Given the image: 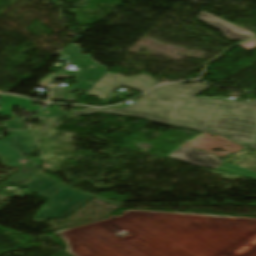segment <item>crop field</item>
<instances>
[{"label":"crop field","instance_id":"obj_3","mask_svg":"<svg viewBox=\"0 0 256 256\" xmlns=\"http://www.w3.org/2000/svg\"><path fill=\"white\" fill-rule=\"evenodd\" d=\"M155 84L156 81L148 75L126 78L107 73L89 92H87V95H96L101 99H105L121 86L144 92Z\"/></svg>","mask_w":256,"mask_h":256},{"label":"crop field","instance_id":"obj_12","mask_svg":"<svg viewBox=\"0 0 256 256\" xmlns=\"http://www.w3.org/2000/svg\"><path fill=\"white\" fill-rule=\"evenodd\" d=\"M65 115H69V114L66 113V112H64V111H62V110H58V111H56V112H54V113H52V114H49V115H46V116H42V117H37V118L45 120V119H48V118H50V117H53V119H54L53 122H48V121H47V123H44V124H43V125H45V126H51V125H54V124L57 123L59 117L65 116ZM45 121H46V120H45Z\"/></svg>","mask_w":256,"mask_h":256},{"label":"crop field","instance_id":"obj_4","mask_svg":"<svg viewBox=\"0 0 256 256\" xmlns=\"http://www.w3.org/2000/svg\"><path fill=\"white\" fill-rule=\"evenodd\" d=\"M67 54L74 58L77 62L83 65L86 70L82 74L80 78L73 79L76 81L75 86L73 89L67 91V96L64 101L73 102L74 99L69 92L75 90H82V91H89L107 72L105 71L107 68H104L94 61L91 60V55H82L80 54V50L77 45L72 44L67 49H65ZM95 66L94 68L90 66ZM86 79H91V82L87 81ZM90 84H87V83Z\"/></svg>","mask_w":256,"mask_h":256},{"label":"crop field","instance_id":"obj_11","mask_svg":"<svg viewBox=\"0 0 256 256\" xmlns=\"http://www.w3.org/2000/svg\"><path fill=\"white\" fill-rule=\"evenodd\" d=\"M34 173L36 172L31 167V165L24 166L19 171H17L10 179H8L6 183L18 186L30 176H32Z\"/></svg>","mask_w":256,"mask_h":256},{"label":"crop field","instance_id":"obj_15","mask_svg":"<svg viewBox=\"0 0 256 256\" xmlns=\"http://www.w3.org/2000/svg\"><path fill=\"white\" fill-rule=\"evenodd\" d=\"M41 175H42V176H44V177H46V178H48V179H50V180H52V181H54V182H56V183H58V184H60V185H62V186H64V187H67V188H69V189H72V190L78 191V192H80V193H83V194H86V195H89V196H92V197H95V198L101 199V200H103V201H106V202H109V203H112V204H115V205L120 204V203H115V202H113V201H111V200H107V199H104V198H101V197H97V196H94V195H90V194H87V193L81 192V191H79V190H77V189H74V188L69 187V186H67V185H65V184H62V183H60V182H58V181H56V180H54V179L50 178L49 176H46L44 173H43V174H41Z\"/></svg>","mask_w":256,"mask_h":256},{"label":"crop field","instance_id":"obj_13","mask_svg":"<svg viewBox=\"0 0 256 256\" xmlns=\"http://www.w3.org/2000/svg\"><path fill=\"white\" fill-rule=\"evenodd\" d=\"M26 118L14 119L3 123L4 128H23V120Z\"/></svg>","mask_w":256,"mask_h":256},{"label":"crop field","instance_id":"obj_21","mask_svg":"<svg viewBox=\"0 0 256 256\" xmlns=\"http://www.w3.org/2000/svg\"><path fill=\"white\" fill-rule=\"evenodd\" d=\"M256 44V40H252Z\"/></svg>","mask_w":256,"mask_h":256},{"label":"crop field","instance_id":"obj_1","mask_svg":"<svg viewBox=\"0 0 256 256\" xmlns=\"http://www.w3.org/2000/svg\"><path fill=\"white\" fill-rule=\"evenodd\" d=\"M202 83L158 87L135 103L121 109L91 108L74 112H103L142 117L152 122L215 133L251 147L256 137V102H228L193 97L209 88ZM201 103V105H198Z\"/></svg>","mask_w":256,"mask_h":256},{"label":"crop field","instance_id":"obj_8","mask_svg":"<svg viewBox=\"0 0 256 256\" xmlns=\"http://www.w3.org/2000/svg\"><path fill=\"white\" fill-rule=\"evenodd\" d=\"M19 147L22 151L27 154H31L34 151V147L36 146V140L32 133L26 130H9Z\"/></svg>","mask_w":256,"mask_h":256},{"label":"crop field","instance_id":"obj_7","mask_svg":"<svg viewBox=\"0 0 256 256\" xmlns=\"http://www.w3.org/2000/svg\"><path fill=\"white\" fill-rule=\"evenodd\" d=\"M0 159L3 164L20 167L24 165L18 160L26 161L20 150L15 145L12 137L0 141Z\"/></svg>","mask_w":256,"mask_h":256},{"label":"crop field","instance_id":"obj_14","mask_svg":"<svg viewBox=\"0 0 256 256\" xmlns=\"http://www.w3.org/2000/svg\"><path fill=\"white\" fill-rule=\"evenodd\" d=\"M65 94V90L52 86L50 99L62 100Z\"/></svg>","mask_w":256,"mask_h":256},{"label":"crop field","instance_id":"obj_19","mask_svg":"<svg viewBox=\"0 0 256 256\" xmlns=\"http://www.w3.org/2000/svg\"><path fill=\"white\" fill-rule=\"evenodd\" d=\"M29 161H30V163L35 167V166L40 165V163H41V158H38V159L32 158V159L29 160Z\"/></svg>","mask_w":256,"mask_h":256},{"label":"crop field","instance_id":"obj_18","mask_svg":"<svg viewBox=\"0 0 256 256\" xmlns=\"http://www.w3.org/2000/svg\"><path fill=\"white\" fill-rule=\"evenodd\" d=\"M240 46L244 49H247V50H250V49L256 47V45L252 41L246 42V43H244Z\"/></svg>","mask_w":256,"mask_h":256},{"label":"crop field","instance_id":"obj_17","mask_svg":"<svg viewBox=\"0 0 256 256\" xmlns=\"http://www.w3.org/2000/svg\"><path fill=\"white\" fill-rule=\"evenodd\" d=\"M52 77H53V74L48 75L46 79H42L38 85L49 86L51 84L49 82L52 81Z\"/></svg>","mask_w":256,"mask_h":256},{"label":"crop field","instance_id":"obj_10","mask_svg":"<svg viewBox=\"0 0 256 256\" xmlns=\"http://www.w3.org/2000/svg\"><path fill=\"white\" fill-rule=\"evenodd\" d=\"M252 148L256 149V139H255V142H254ZM215 169L225 171V172H229V173H233V174H237V175H241V176H245V177H249V178H252V179H256V173L250 172L246 169H242V168L237 167V166L225 164V163H221Z\"/></svg>","mask_w":256,"mask_h":256},{"label":"crop field","instance_id":"obj_16","mask_svg":"<svg viewBox=\"0 0 256 256\" xmlns=\"http://www.w3.org/2000/svg\"><path fill=\"white\" fill-rule=\"evenodd\" d=\"M81 72H67V71H63V72H56V77L55 79H59V78H68V77H72V76H78L80 75Z\"/></svg>","mask_w":256,"mask_h":256},{"label":"crop field","instance_id":"obj_2","mask_svg":"<svg viewBox=\"0 0 256 256\" xmlns=\"http://www.w3.org/2000/svg\"><path fill=\"white\" fill-rule=\"evenodd\" d=\"M24 187L32 192H39L38 196L40 197L51 199L45 205L49 209L41 210L35 218H64L91 199L64 189L41 176L35 177ZM61 203L64 205H60Z\"/></svg>","mask_w":256,"mask_h":256},{"label":"crop field","instance_id":"obj_6","mask_svg":"<svg viewBox=\"0 0 256 256\" xmlns=\"http://www.w3.org/2000/svg\"><path fill=\"white\" fill-rule=\"evenodd\" d=\"M169 156L210 168H214L221 163V160L213 154L197 151L187 147L176 149Z\"/></svg>","mask_w":256,"mask_h":256},{"label":"crop field","instance_id":"obj_9","mask_svg":"<svg viewBox=\"0 0 256 256\" xmlns=\"http://www.w3.org/2000/svg\"><path fill=\"white\" fill-rule=\"evenodd\" d=\"M0 101L3 102V103H0V108L2 109V110H0V114L11 115L10 107L12 105H18L30 112L40 109V107H38V106H34V107L30 106L29 101H27L25 99L3 96L0 99ZM12 103H14V104H12Z\"/></svg>","mask_w":256,"mask_h":256},{"label":"crop field","instance_id":"obj_20","mask_svg":"<svg viewBox=\"0 0 256 256\" xmlns=\"http://www.w3.org/2000/svg\"><path fill=\"white\" fill-rule=\"evenodd\" d=\"M54 108H55V107L49 108V109L45 108V109H43V110H41V111H38V113H39V115H41L40 112L45 111V110H48V111L52 112V111H54Z\"/></svg>","mask_w":256,"mask_h":256},{"label":"crop field","instance_id":"obj_5","mask_svg":"<svg viewBox=\"0 0 256 256\" xmlns=\"http://www.w3.org/2000/svg\"><path fill=\"white\" fill-rule=\"evenodd\" d=\"M199 18L207 24L221 29L222 32L225 33L226 37L230 40H245L247 38L256 36L251 32H248L234 24H231L206 12H201L199 14Z\"/></svg>","mask_w":256,"mask_h":256}]
</instances>
